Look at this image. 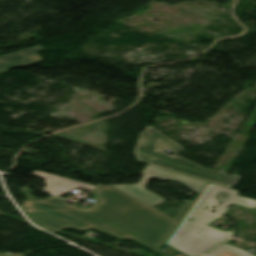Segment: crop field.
<instances>
[{"label": "crop field", "mask_w": 256, "mask_h": 256, "mask_svg": "<svg viewBox=\"0 0 256 256\" xmlns=\"http://www.w3.org/2000/svg\"><path fill=\"white\" fill-rule=\"evenodd\" d=\"M152 178L179 181L198 193L206 184V181L150 165L143 172L138 184L99 186L93 191L99 201L97 205L85 210L75 205L71 206L157 246H162L193 201L186 200L174 219L151 207L164 200L144 189Z\"/></svg>", "instance_id": "1"}, {"label": "crop field", "mask_w": 256, "mask_h": 256, "mask_svg": "<svg viewBox=\"0 0 256 256\" xmlns=\"http://www.w3.org/2000/svg\"><path fill=\"white\" fill-rule=\"evenodd\" d=\"M238 192L208 183L166 244L188 256H198L233 235L232 230L224 232L206 225L224 215L231 203L256 208L255 200L236 196ZM206 206L208 209L204 210ZM211 210H217L216 214ZM189 218L193 220L189 222Z\"/></svg>", "instance_id": "2"}, {"label": "crop field", "mask_w": 256, "mask_h": 256, "mask_svg": "<svg viewBox=\"0 0 256 256\" xmlns=\"http://www.w3.org/2000/svg\"><path fill=\"white\" fill-rule=\"evenodd\" d=\"M21 190L28 197L21 206L28 213V217L35 224L55 234L63 229L75 228L84 232L92 228L100 233H108L117 239H133L156 252L160 250V248L70 207V204L65 202L66 200L55 196L40 200L31 196L32 193L28 187Z\"/></svg>", "instance_id": "3"}, {"label": "crop field", "mask_w": 256, "mask_h": 256, "mask_svg": "<svg viewBox=\"0 0 256 256\" xmlns=\"http://www.w3.org/2000/svg\"><path fill=\"white\" fill-rule=\"evenodd\" d=\"M166 136V135H165ZM161 134L153 126H147L139 137L135 155L139 161L152 164L206 181L231 187L241 179L233 175L231 178L219 171L200 167L196 163L181 157L184 147ZM172 150V156L164 153Z\"/></svg>", "instance_id": "4"}, {"label": "crop field", "mask_w": 256, "mask_h": 256, "mask_svg": "<svg viewBox=\"0 0 256 256\" xmlns=\"http://www.w3.org/2000/svg\"><path fill=\"white\" fill-rule=\"evenodd\" d=\"M41 50L45 49L39 46L0 57V72L41 62V57L36 53Z\"/></svg>", "instance_id": "5"}, {"label": "crop field", "mask_w": 256, "mask_h": 256, "mask_svg": "<svg viewBox=\"0 0 256 256\" xmlns=\"http://www.w3.org/2000/svg\"><path fill=\"white\" fill-rule=\"evenodd\" d=\"M33 175L45 179L47 192L53 195H62L64 194L63 191H72L71 187L74 189L81 187L89 190H93L96 187L39 171H34Z\"/></svg>", "instance_id": "6"}, {"label": "crop field", "mask_w": 256, "mask_h": 256, "mask_svg": "<svg viewBox=\"0 0 256 256\" xmlns=\"http://www.w3.org/2000/svg\"><path fill=\"white\" fill-rule=\"evenodd\" d=\"M205 256H255L247 251L238 249L228 243H225Z\"/></svg>", "instance_id": "7"}]
</instances>
